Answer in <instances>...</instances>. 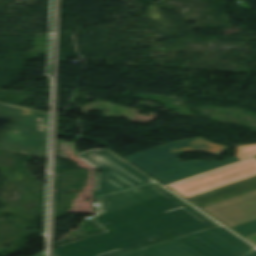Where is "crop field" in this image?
<instances>
[{
  "label": "crop field",
  "instance_id": "9",
  "mask_svg": "<svg viewBox=\"0 0 256 256\" xmlns=\"http://www.w3.org/2000/svg\"><path fill=\"white\" fill-rule=\"evenodd\" d=\"M233 230L246 237L256 233V220L231 227Z\"/></svg>",
  "mask_w": 256,
  "mask_h": 256
},
{
  "label": "crop field",
  "instance_id": "7",
  "mask_svg": "<svg viewBox=\"0 0 256 256\" xmlns=\"http://www.w3.org/2000/svg\"><path fill=\"white\" fill-rule=\"evenodd\" d=\"M213 256L211 253L188 239L179 237L119 256Z\"/></svg>",
  "mask_w": 256,
  "mask_h": 256
},
{
  "label": "crop field",
  "instance_id": "10",
  "mask_svg": "<svg viewBox=\"0 0 256 256\" xmlns=\"http://www.w3.org/2000/svg\"><path fill=\"white\" fill-rule=\"evenodd\" d=\"M256 155V144L236 147V156L240 159H247Z\"/></svg>",
  "mask_w": 256,
  "mask_h": 256
},
{
  "label": "crop field",
  "instance_id": "5",
  "mask_svg": "<svg viewBox=\"0 0 256 256\" xmlns=\"http://www.w3.org/2000/svg\"><path fill=\"white\" fill-rule=\"evenodd\" d=\"M186 236L215 256H256L255 248L221 226Z\"/></svg>",
  "mask_w": 256,
  "mask_h": 256
},
{
  "label": "crop field",
  "instance_id": "1",
  "mask_svg": "<svg viewBox=\"0 0 256 256\" xmlns=\"http://www.w3.org/2000/svg\"><path fill=\"white\" fill-rule=\"evenodd\" d=\"M78 156L102 172L93 221L106 232L59 246L54 256H112L218 225L108 150Z\"/></svg>",
  "mask_w": 256,
  "mask_h": 256
},
{
  "label": "crop field",
  "instance_id": "12",
  "mask_svg": "<svg viewBox=\"0 0 256 256\" xmlns=\"http://www.w3.org/2000/svg\"><path fill=\"white\" fill-rule=\"evenodd\" d=\"M35 256H45V252H41V253H39V254H37Z\"/></svg>",
  "mask_w": 256,
  "mask_h": 256
},
{
  "label": "crop field",
  "instance_id": "13",
  "mask_svg": "<svg viewBox=\"0 0 256 256\" xmlns=\"http://www.w3.org/2000/svg\"><path fill=\"white\" fill-rule=\"evenodd\" d=\"M256 158V157H255Z\"/></svg>",
  "mask_w": 256,
  "mask_h": 256
},
{
  "label": "crop field",
  "instance_id": "6",
  "mask_svg": "<svg viewBox=\"0 0 256 256\" xmlns=\"http://www.w3.org/2000/svg\"><path fill=\"white\" fill-rule=\"evenodd\" d=\"M201 209L229 227L256 219V190Z\"/></svg>",
  "mask_w": 256,
  "mask_h": 256
},
{
  "label": "crop field",
  "instance_id": "11",
  "mask_svg": "<svg viewBox=\"0 0 256 256\" xmlns=\"http://www.w3.org/2000/svg\"><path fill=\"white\" fill-rule=\"evenodd\" d=\"M248 240H250L251 242L255 243L256 244V234L255 235H252V236H249V237H246Z\"/></svg>",
  "mask_w": 256,
  "mask_h": 256
},
{
  "label": "crop field",
  "instance_id": "2",
  "mask_svg": "<svg viewBox=\"0 0 256 256\" xmlns=\"http://www.w3.org/2000/svg\"><path fill=\"white\" fill-rule=\"evenodd\" d=\"M227 147L213 144L202 138L176 142L143 152L124 156L152 176L167 184L201 172H205L226 164L239 161L230 158L217 161H187L181 162L176 158L184 152L203 151L218 155Z\"/></svg>",
  "mask_w": 256,
  "mask_h": 256
},
{
  "label": "crop field",
  "instance_id": "3",
  "mask_svg": "<svg viewBox=\"0 0 256 256\" xmlns=\"http://www.w3.org/2000/svg\"><path fill=\"white\" fill-rule=\"evenodd\" d=\"M47 113L0 103V148L47 158Z\"/></svg>",
  "mask_w": 256,
  "mask_h": 256
},
{
  "label": "crop field",
  "instance_id": "8",
  "mask_svg": "<svg viewBox=\"0 0 256 256\" xmlns=\"http://www.w3.org/2000/svg\"><path fill=\"white\" fill-rule=\"evenodd\" d=\"M256 189V176L234 182L195 196L187 198L189 201L202 207L233 196H237Z\"/></svg>",
  "mask_w": 256,
  "mask_h": 256
},
{
  "label": "crop field",
  "instance_id": "4",
  "mask_svg": "<svg viewBox=\"0 0 256 256\" xmlns=\"http://www.w3.org/2000/svg\"><path fill=\"white\" fill-rule=\"evenodd\" d=\"M256 175V159H249L231 166L215 170L199 177L169 186L187 198L192 195Z\"/></svg>",
  "mask_w": 256,
  "mask_h": 256
}]
</instances>
